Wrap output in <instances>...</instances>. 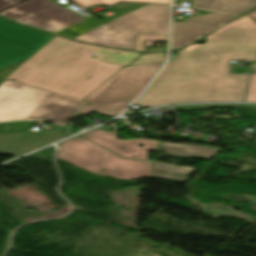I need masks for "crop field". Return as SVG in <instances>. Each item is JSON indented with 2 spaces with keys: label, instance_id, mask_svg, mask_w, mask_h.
<instances>
[{
  "label": "crop field",
  "instance_id": "crop-field-14",
  "mask_svg": "<svg viewBox=\"0 0 256 256\" xmlns=\"http://www.w3.org/2000/svg\"><path fill=\"white\" fill-rule=\"evenodd\" d=\"M73 1L78 3L80 6L84 7V6H88V5L95 4V3L112 5L120 0H73ZM125 1L163 3V4L171 3V0H125Z\"/></svg>",
  "mask_w": 256,
  "mask_h": 256
},
{
  "label": "crop field",
  "instance_id": "crop-field-17",
  "mask_svg": "<svg viewBox=\"0 0 256 256\" xmlns=\"http://www.w3.org/2000/svg\"><path fill=\"white\" fill-rule=\"evenodd\" d=\"M144 40L168 41V36L138 34L134 50L144 51V47L142 46Z\"/></svg>",
  "mask_w": 256,
  "mask_h": 256
},
{
  "label": "crop field",
  "instance_id": "crop-field-6",
  "mask_svg": "<svg viewBox=\"0 0 256 256\" xmlns=\"http://www.w3.org/2000/svg\"><path fill=\"white\" fill-rule=\"evenodd\" d=\"M162 65L153 63L123 68L85 99L93 104L84 105L77 115H88L93 110L111 117L117 115L142 91Z\"/></svg>",
  "mask_w": 256,
  "mask_h": 256
},
{
  "label": "crop field",
  "instance_id": "crop-field-21",
  "mask_svg": "<svg viewBox=\"0 0 256 256\" xmlns=\"http://www.w3.org/2000/svg\"><path fill=\"white\" fill-rule=\"evenodd\" d=\"M55 152V147L51 146L49 148L43 149L41 151H38L36 153L30 154L28 156L32 157H44V158H52Z\"/></svg>",
  "mask_w": 256,
  "mask_h": 256
},
{
  "label": "crop field",
  "instance_id": "crop-field-11",
  "mask_svg": "<svg viewBox=\"0 0 256 256\" xmlns=\"http://www.w3.org/2000/svg\"><path fill=\"white\" fill-rule=\"evenodd\" d=\"M65 134L54 131H35L0 134V153L20 156L39 147L57 141Z\"/></svg>",
  "mask_w": 256,
  "mask_h": 256
},
{
  "label": "crop field",
  "instance_id": "crop-field-23",
  "mask_svg": "<svg viewBox=\"0 0 256 256\" xmlns=\"http://www.w3.org/2000/svg\"><path fill=\"white\" fill-rule=\"evenodd\" d=\"M240 107L251 109L256 112V104H241Z\"/></svg>",
  "mask_w": 256,
  "mask_h": 256
},
{
  "label": "crop field",
  "instance_id": "crop-field-13",
  "mask_svg": "<svg viewBox=\"0 0 256 256\" xmlns=\"http://www.w3.org/2000/svg\"><path fill=\"white\" fill-rule=\"evenodd\" d=\"M256 6V0H193L191 8L238 16Z\"/></svg>",
  "mask_w": 256,
  "mask_h": 256
},
{
  "label": "crop field",
  "instance_id": "crop-field-8",
  "mask_svg": "<svg viewBox=\"0 0 256 256\" xmlns=\"http://www.w3.org/2000/svg\"><path fill=\"white\" fill-rule=\"evenodd\" d=\"M50 94L5 80L0 85V121L26 119Z\"/></svg>",
  "mask_w": 256,
  "mask_h": 256
},
{
  "label": "crop field",
  "instance_id": "crop-field-1",
  "mask_svg": "<svg viewBox=\"0 0 256 256\" xmlns=\"http://www.w3.org/2000/svg\"><path fill=\"white\" fill-rule=\"evenodd\" d=\"M206 39L179 51L135 105L242 101L249 76L229 75V61H256V22L247 14Z\"/></svg>",
  "mask_w": 256,
  "mask_h": 256
},
{
  "label": "crop field",
  "instance_id": "crop-field-15",
  "mask_svg": "<svg viewBox=\"0 0 256 256\" xmlns=\"http://www.w3.org/2000/svg\"><path fill=\"white\" fill-rule=\"evenodd\" d=\"M145 6V4H137V3H121L115 6H112L110 9L113 10L114 12L118 13L119 15L112 17L108 20H105L103 22L107 23L111 20H114L122 15H125L131 11H134L140 7Z\"/></svg>",
  "mask_w": 256,
  "mask_h": 256
},
{
  "label": "crop field",
  "instance_id": "crop-field-10",
  "mask_svg": "<svg viewBox=\"0 0 256 256\" xmlns=\"http://www.w3.org/2000/svg\"><path fill=\"white\" fill-rule=\"evenodd\" d=\"M236 17L210 13L203 16H190L183 22L174 20L172 49H178L185 44L207 34L221 23H228Z\"/></svg>",
  "mask_w": 256,
  "mask_h": 256
},
{
  "label": "crop field",
  "instance_id": "crop-field-19",
  "mask_svg": "<svg viewBox=\"0 0 256 256\" xmlns=\"http://www.w3.org/2000/svg\"><path fill=\"white\" fill-rule=\"evenodd\" d=\"M212 107H237V104H200V105H180L176 106V109L181 110H197L206 109Z\"/></svg>",
  "mask_w": 256,
  "mask_h": 256
},
{
  "label": "crop field",
  "instance_id": "crop-field-25",
  "mask_svg": "<svg viewBox=\"0 0 256 256\" xmlns=\"http://www.w3.org/2000/svg\"><path fill=\"white\" fill-rule=\"evenodd\" d=\"M249 15L256 21V11L250 13ZM254 72H256V67Z\"/></svg>",
  "mask_w": 256,
  "mask_h": 256
},
{
  "label": "crop field",
  "instance_id": "crop-field-5",
  "mask_svg": "<svg viewBox=\"0 0 256 256\" xmlns=\"http://www.w3.org/2000/svg\"><path fill=\"white\" fill-rule=\"evenodd\" d=\"M0 17L68 38L104 24L96 18H83L50 0H29L0 13Z\"/></svg>",
  "mask_w": 256,
  "mask_h": 256
},
{
  "label": "crop field",
  "instance_id": "crop-field-20",
  "mask_svg": "<svg viewBox=\"0 0 256 256\" xmlns=\"http://www.w3.org/2000/svg\"><path fill=\"white\" fill-rule=\"evenodd\" d=\"M246 102H256V74H252Z\"/></svg>",
  "mask_w": 256,
  "mask_h": 256
},
{
  "label": "crop field",
  "instance_id": "crop-field-22",
  "mask_svg": "<svg viewBox=\"0 0 256 256\" xmlns=\"http://www.w3.org/2000/svg\"><path fill=\"white\" fill-rule=\"evenodd\" d=\"M21 1L23 0H0V10H3Z\"/></svg>",
  "mask_w": 256,
  "mask_h": 256
},
{
  "label": "crop field",
  "instance_id": "crop-field-9",
  "mask_svg": "<svg viewBox=\"0 0 256 256\" xmlns=\"http://www.w3.org/2000/svg\"><path fill=\"white\" fill-rule=\"evenodd\" d=\"M104 127V126H103ZM102 128V127H101ZM115 132L94 129L90 133H85L80 136L122 156L127 158L139 159L147 161L148 151L157 150L159 142L146 139L132 140H116ZM139 145H144L139 147ZM116 146H119L117 149ZM122 148H125L124 150Z\"/></svg>",
  "mask_w": 256,
  "mask_h": 256
},
{
  "label": "crop field",
  "instance_id": "crop-field-12",
  "mask_svg": "<svg viewBox=\"0 0 256 256\" xmlns=\"http://www.w3.org/2000/svg\"><path fill=\"white\" fill-rule=\"evenodd\" d=\"M85 103L52 93L27 120H49L66 125Z\"/></svg>",
  "mask_w": 256,
  "mask_h": 256
},
{
  "label": "crop field",
  "instance_id": "crop-field-2",
  "mask_svg": "<svg viewBox=\"0 0 256 256\" xmlns=\"http://www.w3.org/2000/svg\"><path fill=\"white\" fill-rule=\"evenodd\" d=\"M140 53L94 47L56 36L7 80L83 101Z\"/></svg>",
  "mask_w": 256,
  "mask_h": 256
},
{
  "label": "crop field",
  "instance_id": "crop-field-16",
  "mask_svg": "<svg viewBox=\"0 0 256 256\" xmlns=\"http://www.w3.org/2000/svg\"><path fill=\"white\" fill-rule=\"evenodd\" d=\"M35 122H9V123H0V133L5 132H22L27 131ZM3 126H10L7 130ZM12 128V130H10Z\"/></svg>",
  "mask_w": 256,
  "mask_h": 256
},
{
  "label": "crop field",
  "instance_id": "crop-field-4",
  "mask_svg": "<svg viewBox=\"0 0 256 256\" xmlns=\"http://www.w3.org/2000/svg\"><path fill=\"white\" fill-rule=\"evenodd\" d=\"M59 147L58 159L96 174L119 179H139L152 174L154 163L122 158L79 136L59 143ZM102 168L104 172H100Z\"/></svg>",
  "mask_w": 256,
  "mask_h": 256
},
{
  "label": "crop field",
  "instance_id": "crop-field-26",
  "mask_svg": "<svg viewBox=\"0 0 256 256\" xmlns=\"http://www.w3.org/2000/svg\"><path fill=\"white\" fill-rule=\"evenodd\" d=\"M3 81H4L3 79H0V84H1Z\"/></svg>",
  "mask_w": 256,
  "mask_h": 256
},
{
  "label": "crop field",
  "instance_id": "crop-field-3",
  "mask_svg": "<svg viewBox=\"0 0 256 256\" xmlns=\"http://www.w3.org/2000/svg\"><path fill=\"white\" fill-rule=\"evenodd\" d=\"M171 6L149 4L75 38L105 47L133 50L137 33L168 35Z\"/></svg>",
  "mask_w": 256,
  "mask_h": 256
},
{
  "label": "crop field",
  "instance_id": "crop-field-7",
  "mask_svg": "<svg viewBox=\"0 0 256 256\" xmlns=\"http://www.w3.org/2000/svg\"><path fill=\"white\" fill-rule=\"evenodd\" d=\"M55 35L0 19V78H6Z\"/></svg>",
  "mask_w": 256,
  "mask_h": 256
},
{
  "label": "crop field",
  "instance_id": "crop-field-24",
  "mask_svg": "<svg viewBox=\"0 0 256 256\" xmlns=\"http://www.w3.org/2000/svg\"><path fill=\"white\" fill-rule=\"evenodd\" d=\"M167 48V44L164 45V48H151V52L152 51H166Z\"/></svg>",
  "mask_w": 256,
  "mask_h": 256
},
{
  "label": "crop field",
  "instance_id": "crop-field-18",
  "mask_svg": "<svg viewBox=\"0 0 256 256\" xmlns=\"http://www.w3.org/2000/svg\"><path fill=\"white\" fill-rule=\"evenodd\" d=\"M165 55H166V53L143 54L136 61H134L131 65L148 63V62L164 61Z\"/></svg>",
  "mask_w": 256,
  "mask_h": 256
}]
</instances>
